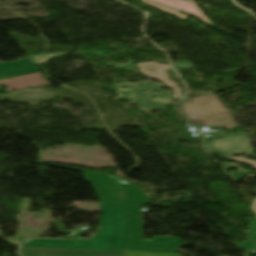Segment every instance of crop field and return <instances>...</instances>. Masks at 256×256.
Here are the masks:
<instances>
[{
	"mask_svg": "<svg viewBox=\"0 0 256 256\" xmlns=\"http://www.w3.org/2000/svg\"><path fill=\"white\" fill-rule=\"evenodd\" d=\"M0 72L17 76L0 81V85L12 90L48 83L28 58L17 62L0 63Z\"/></svg>",
	"mask_w": 256,
	"mask_h": 256,
	"instance_id": "obj_4",
	"label": "crop field"
},
{
	"mask_svg": "<svg viewBox=\"0 0 256 256\" xmlns=\"http://www.w3.org/2000/svg\"><path fill=\"white\" fill-rule=\"evenodd\" d=\"M246 174H247V172L239 171V172L234 173L232 176H233V178H235L237 180H242Z\"/></svg>",
	"mask_w": 256,
	"mask_h": 256,
	"instance_id": "obj_10",
	"label": "crop field"
},
{
	"mask_svg": "<svg viewBox=\"0 0 256 256\" xmlns=\"http://www.w3.org/2000/svg\"><path fill=\"white\" fill-rule=\"evenodd\" d=\"M227 158L234 159V160H237V161H240V162H244V163L250 164V165H252L253 167L256 168V161L244 159V158H241V157H236V158L227 157ZM250 208L252 209V211H253V212L255 213V215H256V199H254V200L252 201Z\"/></svg>",
	"mask_w": 256,
	"mask_h": 256,
	"instance_id": "obj_9",
	"label": "crop field"
},
{
	"mask_svg": "<svg viewBox=\"0 0 256 256\" xmlns=\"http://www.w3.org/2000/svg\"><path fill=\"white\" fill-rule=\"evenodd\" d=\"M86 181H91L103 203L129 204L130 238L128 251L175 253L179 249V238L156 237L152 241L141 239L142 212L140 205L150 202L135 185L114 176L85 171Z\"/></svg>",
	"mask_w": 256,
	"mask_h": 256,
	"instance_id": "obj_1",
	"label": "crop field"
},
{
	"mask_svg": "<svg viewBox=\"0 0 256 256\" xmlns=\"http://www.w3.org/2000/svg\"><path fill=\"white\" fill-rule=\"evenodd\" d=\"M67 54L66 52L61 53H51V54H42V55H34L29 56L28 58L32 61L34 65H41L45 63L46 61L54 58L61 57L63 55Z\"/></svg>",
	"mask_w": 256,
	"mask_h": 256,
	"instance_id": "obj_8",
	"label": "crop field"
},
{
	"mask_svg": "<svg viewBox=\"0 0 256 256\" xmlns=\"http://www.w3.org/2000/svg\"><path fill=\"white\" fill-rule=\"evenodd\" d=\"M166 6L170 7V8H173L175 10H179V11H182L184 9V7L180 6V5H177V4H167Z\"/></svg>",
	"mask_w": 256,
	"mask_h": 256,
	"instance_id": "obj_12",
	"label": "crop field"
},
{
	"mask_svg": "<svg viewBox=\"0 0 256 256\" xmlns=\"http://www.w3.org/2000/svg\"><path fill=\"white\" fill-rule=\"evenodd\" d=\"M182 105L190 123L236 126L231 114L215 95L193 98Z\"/></svg>",
	"mask_w": 256,
	"mask_h": 256,
	"instance_id": "obj_3",
	"label": "crop field"
},
{
	"mask_svg": "<svg viewBox=\"0 0 256 256\" xmlns=\"http://www.w3.org/2000/svg\"><path fill=\"white\" fill-rule=\"evenodd\" d=\"M252 140L247 133H232L216 140L209 141L206 150L220 156H233L236 153L252 154Z\"/></svg>",
	"mask_w": 256,
	"mask_h": 256,
	"instance_id": "obj_5",
	"label": "crop field"
},
{
	"mask_svg": "<svg viewBox=\"0 0 256 256\" xmlns=\"http://www.w3.org/2000/svg\"><path fill=\"white\" fill-rule=\"evenodd\" d=\"M136 65L140 67L141 72H143L144 74L150 75V76H152V77H154V78L172 86L175 89V91L177 92L176 94L173 95L174 97H179L180 96L181 92L178 90L176 84L168 81L166 79V74L163 72L164 69H167L170 66L159 65L155 62H145V63L136 64ZM152 69H154L155 72H152L151 71Z\"/></svg>",
	"mask_w": 256,
	"mask_h": 256,
	"instance_id": "obj_7",
	"label": "crop field"
},
{
	"mask_svg": "<svg viewBox=\"0 0 256 256\" xmlns=\"http://www.w3.org/2000/svg\"><path fill=\"white\" fill-rule=\"evenodd\" d=\"M151 1L163 4V5H165L167 3H171V2H174V3H177V4H181V5L185 6V7H187L183 11H187V12H189L191 14L186 15V16H182L179 12H177L175 10L169 9L167 7L155 4V3L147 1V0H143V2H145V3L149 4V5L155 6L157 8L163 9V10L168 11V12H171V13L175 14L176 16H179L182 19H186L187 16L195 15V16H198L199 18H201L206 23L210 24V22L206 19V17L202 14V12L198 9V7L193 2H189V1H185V0H151Z\"/></svg>",
	"mask_w": 256,
	"mask_h": 256,
	"instance_id": "obj_6",
	"label": "crop field"
},
{
	"mask_svg": "<svg viewBox=\"0 0 256 256\" xmlns=\"http://www.w3.org/2000/svg\"><path fill=\"white\" fill-rule=\"evenodd\" d=\"M102 230L90 240L36 239L24 246L126 251L127 205L101 204Z\"/></svg>",
	"mask_w": 256,
	"mask_h": 256,
	"instance_id": "obj_2",
	"label": "crop field"
},
{
	"mask_svg": "<svg viewBox=\"0 0 256 256\" xmlns=\"http://www.w3.org/2000/svg\"><path fill=\"white\" fill-rule=\"evenodd\" d=\"M200 125V124H199ZM221 127H224V128H234V127H225V126H221Z\"/></svg>",
	"mask_w": 256,
	"mask_h": 256,
	"instance_id": "obj_13",
	"label": "crop field"
},
{
	"mask_svg": "<svg viewBox=\"0 0 256 256\" xmlns=\"http://www.w3.org/2000/svg\"><path fill=\"white\" fill-rule=\"evenodd\" d=\"M174 67H181V68H190L192 67L189 62H181L173 64Z\"/></svg>",
	"mask_w": 256,
	"mask_h": 256,
	"instance_id": "obj_11",
	"label": "crop field"
}]
</instances>
